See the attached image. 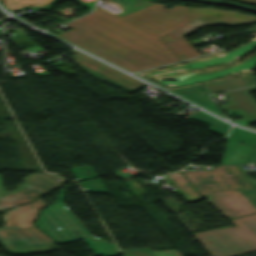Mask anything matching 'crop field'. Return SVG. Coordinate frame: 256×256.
<instances>
[{
	"label": "crop field",
	"instance_id": "crop-field-1",
	"mask_svg": "<svg viewBox=\"0 0 256 256\" xmlns=\"http://www.w3.org/2000/svg\"><path fill=\"white\" fill-rule=\"evenodd\" d=\"M121 10L114 15L96 6L58 36L131 71L178 61L161 36L189 22L187 7L164 9L147 0H103Z\"/></svg>",
	"mask_w": 256,
	"mask_h": 256
},
{
	"label": "crop field",
	"instance_id": "crop-field-2",
	"mask_svg": "<svg viewBox=\"0 0 256 256\" xmlns=\"http://www.w3.org/2000/svg\"><path fill=\"white\" fill-rule=\"evenodd\" d=\"M206 198L228 219L256 212V208L239 190H218ZM231 222L234 227L192 235L210 256H233L256 250V214Z\"/></svg>",
	"mask_w": 256,
	"mask_h": 256
},
{
	"label": "crop field",
	"instance_id": "crop-field-3",
	"mask_svg": "<svg viewBox=\"0 0 256 256\" xmlns=\"http://www.w3.org/2000/svg\"><path fill=\"white\" fill-rule=\"evenodd\" d=\"M66 190L61 189L55 204L42 210L34 226L48 235L57 243L73 241L83 238L95 255L120 254L115 244L91 236L80 222L61 202ZM56 227L62 229L57 230Z\"/></svg>",
	"mask_w": 256,
	"mask_h": 256
},
{
	"label": "crop field",
	"instance_id": "crop-field-4",
	"mask_svg": "<svg viewBox=\"0 0 256 256\" xmlns=\"http://www.w3.org/2000/svg\"><path fill=\"white\" fill-rule=\"evenodd\" d=\"M43 206L45 204L38 199L2 215L5 225L0 228V243L7 251L22 254L50 250L45 243L51 244L53 241L32 227L33 220Z\"/></svg>",
	"mask_w": 256,
	"mask_h": 256
},
{
	"label": "crop field",
	"instance_id": "crop-field-5",
	"mask_svg": "<svg viewBox=\"0 0 256 256\" xmlns=\"http://www.w3.org/2000/svg\"><path fill=\"white\" fill-rule=\"evenodd\" d=\"M168 176L190 202L218 189L254 188L236 165H220L208 171L176 172Z\"/></svg>",
	"mask_w": 256,
	"mask_h": 256
},
{
	"label": "crop field",
	"instance_id": "crop-field-6",
	"mask_svg": "<svg viewBox=\"0 0 256 256\" xmlns=\"http://www.w3.org/2000/svg\"><path fill=\"white\" fill-rule=\"evenodd\" d=\"M190 23L162 37L164 42L174 51L180 60L198 56L199 54L183 38L185 35L210 24L234 26L256 22V16L239 14L215 8H188Z\"/></svg>",
	"mask_w": 256,
	"mask_h": 256
},
{
	"label": "crop field",
	"instance_id": "crop-field-7",
	"mask_svg": "<svg viewBox=\"0 0 256 256\" xmlns=\"http://www.w3.org/2000/svg\"><path fill=\"white\" fill-rule=\"evenodd\" d=\"M75 53L74 60L77 64L89 75L95 79L110 82L116 87H119L125 92H132L146 84L131 78L77 50Z\"/></svg>",
	"mask_w": 256,
	"mask_h": 256
},
{
	"label": "crop field",
	"instance_id": "crop-field-8",
	"mask_svg": "<svg viewBox=\"0 0 256 256\" xmlns=\"http://www.w3.org/2000/svg\"><path fill=\"white\" fill-rule=\"evenodd\" d=\"M254 90H256V86L223 93L232 104L222 106L221 108L227 111L229 116L236 114L235 118L242 117V119L235 122L241 124L256 123V102L248 94V92Z\"/></svg>",
	"mask_w": 256,
	"mask_h": 256
},
{
	"label": "crop field",
	"instance_id": "crop-field-9",
	"mask_svg": "<svg viewBox=\"0 0 256 256\" xmlns=\"http://www.w3.org/2000/svg\"><path fill=\"white\" fill-rule=\"evenodd\" d=\"M16 191L18 193H15ZM44 193L48 192L36 188L26 182L22 183L14 191L8 192L3 189L0 180V212L18 203L28 202Z\"/></svg>",
	"mask_w": 256,
	"mask_h": 256
},
{
	"label": "crop field",
	"instance_id": "crop-field-10",
	"mask_svg": "<svg viewBox=\"0 0 256 256\" xmlns=\"http://www.w3.org/2000/svg\"><path fill=\"white\" fill-rule=\"evenodd\" d=\"M255 84H256L255 76L249 75V76H244V77H239V78H234V79H229L224 81L202 84L201 86L204 89V91L207 94H209V93L230 90V89H235V88H240V87H245V86H250Z\"/></svg>",
	"mask_w": 256,
	"mask_h": 256
},
{
	"label": "crop field",
	"instance_id": "crop-field-11",
	"mask_svg": "<svg viewBox=\"0 0 256 256\" xmlns=\"http://www.w3.org/2000/svg\"><path fill=\"white\" fill-rule=\"evenodd\" d=\"M32 185L42 188L48 192L62 186L67 182V179L57 174L33 173L22 179Z\"/></svg>",
	"mask_w": 256,
	"mask_h": 256
},
{
	"label": "crop field",
	"instance_id": "crop-field-12",
	"mask_svg": "<svg viewBox=\"0 0 256 256\" xmlns=\"http://www.w3.org/2000/svg\"><path fill=\"white\" fill-rule=\"evenodd\" d=\"M228 140L221 164H237L243 163L252 147L241 144L239 142Z\"/></svg>",
	"mask_w": 256,
	"mask_h": 256
},
{
	"label": "crop field",
	"instance_id": "crop-field-13",
	"mask_svg": "<svg viewBox=\"0 0 256 256\" xmlns=\"http://www.w3.org/2000/svg\"><path fill=\"white\" fill-rule=\"evenodd\" d=\"M173 92L223 116L207 94L201 89L200 85L173 90Z\"/></svg>",
	"mask_w": 256,
	"mask_h": 256
},
{
	"label": "crop field",
	"instance_id": "crop-field-14",
	"mask_svg": "<svg viewBox=\"0 0 256 256\" xmlns=\"http://www.w3.org/2000/svg\"><path fill=\"white\" fill-rule=\"evenodd\" d=\"M56 1L58 0H5L4 4L11 10L22 8L24 6H34L35 10L50 11L53 3Z\"/></svg>",
	"mask_w": 256,
	"mask_h": 256
},
{
	"label": "crop field",
	"instance_id": "crop-field-15",
	"mask_svg": "<svg viewBox=\"0 0 256 256\" xmlns=\"http://www.w3.org/2000/svg\"><path fill=\"white\" fill-rule=\"evenodd\" d=\"M231 131V130H230ZM229 137L254 146L255 149L248 158L247 162H256V133H252L249 131L241 130L233 127Z\"/></svg>",
	"mask_w": 256,
	"mask_h": 256
},
{
	"label": "crop field",
	"instance_id": "crop-field-16",
	"mask_svg": "<svg viewBox=\"0 0 256 256\" xmlns=\"http://www.w3.org/2000/svg\"><path fill=\"white\" fill-rule=\"evenodd\" d=\"M191 118H194L196 120H199V121H202V122L212 125V127L210 129L211 131L219 133L224 136H226V134L231 126V125H229L219 119H216L210 115H207L201 111L197 112Z\"/></svg>",
	"mask_w": 256,
	"mask_h": 256
},
{
	"label": "crop field",
	"instance_id": "crop-field-17",
	"mask_svg": "<svg viewBox=\"0 0 256 256\" xmlns=\"http://www.w3.org/2000/svg\"><path fill=\"white\" fill-rule=\"evenodd\" d=\"M81 185L86 190V192L101 193V194L109 193L99 179L85 181L81 183Z\"/></svg>",
	"mask_w": 256,
	"mask_h": 256
},
{
	"label": "crop field",
	"instance_id": "crop-field-18",
	"mask_svg": "<svg viewBox=\"0 0 256 256\" xmlns=\"http://www.w3.org/2000/svg\"><path fill=\"white\" fill-rule=\"evenodd\" d=\"M71 171L78 181L96 177L95 173L89 166L71 168Z\"/></svg>",
	"mask_w": 256,
	"mask_h": 256
},
{
	"label": "crop field",
	"instance_id": "crop-field-19",
	"mask_svg": "<svg viewBox=\"0 0 256 256\" xmlns=\"http://www.w3.org/2000/svg\"><path fill=\"white\" fill-rule=\"evenodd\" d=\"M125 256H154L149 248L136 250H123Z\"/></svg>",
	"mask_w": 256,
	"mask_h": 256
},
{
	"label": "crop field",
	"instance_id": "crop-field-20",
	"mask_svg": "<svg viewBox=\"0 0 256 256\" xmlns=\"http://www.w3.org/2000/svg\"><path fill=\"white\" fill-rule=\"evenodd\" d=\"M155 256H181L177 249L156 251L153 252Z\"/></svg>",
	"mask_w": 256,
	"mask_h": 256
},
{
	"label": "crop field",
	"instance_id": "crop-field-21",
	"mask_svg": "<svg viewBox=\"0 0 256 256\" xmlns=\"http://www.w3.org/2000/svg\"><path fill=\"white\" fill-rule=\"evenodd\" d=\"M241 192L256 207V190L241 191Z\"/></svg>",
	"mask_w": 256,
	"mask_h": 256
},
{
	"label": "crop field",
	"instance_id": "crop-field-22",
	"mask_svg": "<svg viewBox=\"0 0 256 256\" xmlns=\"http://www.w3.org/2000/svg\"><path fill=\"white\" fill-rule=\"evenodd\" d=\"M92 1H95V0H92ZM92 1H90V2H92ZM87 3H89V2H87Z\"/></svg>",
	"mask_w": 256,
	"mask_h": 256
},
{
	"label": "crop field",
	"instance_id": "crop-field-23",
	"mask_svg": "<svg viewBox=\"0 0 256 256\" xmlns=\"http://www.w3.org/2000/svg\"><path fill=\"white\" fill-rule=\"evenodd\" d=\"M1 2H3L4 0H0Z\"/></svg>",
	"mask_w": 256,
	"mask_h": 256
}]
</instances>
